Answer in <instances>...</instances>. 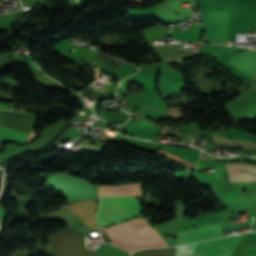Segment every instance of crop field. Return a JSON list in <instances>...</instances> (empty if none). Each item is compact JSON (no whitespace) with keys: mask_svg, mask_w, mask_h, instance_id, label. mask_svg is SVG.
Here are the masks:
<instances>
[{"mask_svg":"<svg viewBox=\"0 0 256 256\" xmlns=\"http://www.w3.org/2000/svg\"><path fill=\"white\" fill-rule=\"evenodd\" d=\"M131 221L142 233V235L146 238V240L151 244L152 247L167 246V244L164 242V240L161 238L158 232L151 229L144 219H135ZM131 221H127L112 226L108 229H105V232L111 239L112 243L143 248L151 247L150 244L145 240V238L141 235V233L137 230V228L132 224ZM122 245L116 246L129 252H134L138 249H143Z\"/></svg>","mask_w":256,"mask_h":256,"instance_id":"crop-field-2","label":"crop field"},{"mask_svg":"<svg viewBox=\"0 0 256 256\" xmlns=\"http://www.w3.org/2000/svg\"><path fill=\"white\" fill-rule=\"evenodd\" d=\"M142 194L140 183L120 186H100L99 196H136ZM141 209L134 197H100L97 222L99 226L123 221Z\"/></svg>","mask_w":256,"mask_h":256,"instance_id":"crop-field-1","label":"crop field"},{"mask_svg":"<svg viewBox=\"0 0 256 256\" xmlns=\"http://www.w3.org/2000/svg\"><path fill=\"white\" fill-rule=\"evenodd\" d=\"M176 234L178 238V245L224 236L219 223L178 232Z\"/></svg>","mask_w":256,"mask_h":256,"instance_id":"crop-field-6","label":"crop field"},{"mask_svg":"<svg viewBox=\"0 0 256 256\" xmlns=\"http://www.w3.org/2000/svg\"><path fill=\"white\" fill-rule=\"evenodd\" d=\"M246 234L180 246L176 256H230L232 249Z\"/></svg>","mask_w":256,"mask_h":256,"instance_id":"crop-field-3","label":"crop field"},{"mask_svg":"<svg viewBox=\"0 0 256 256\" xmlns=\"http://www.w3.org/2000/svg\"><path fill=\"white\" fill-rule=\"evenodd\" d=\"M54 256H97L84 246V234L63 230L49 235Z\"/></svg>","mask_w":256,"mask_h":256,"instance_id":"crop-field-4","label":"crop field"},{"mask_svg":"<svg viewBox=\"0 0 256 256\" xmlns=\"http://www.w3.org/2000/svg\"><path fill=\"white\" fill-rule=\"evenodd\" d=\"M61 207L74 213L86 226L99 230L95 222L96 199L71 202Z\"/></svg>","mask_w":256,"mask_h":256,"instance_id":"crop-field-7","label":"crop field"},{"mask_svg":"<svg viewBox=\"0 0 256 256\" xmlns=\"http://www.w3.org/2000/svg\"><path fill=\"white\" fill-rule=\"evenodd\" d=\"M0 109H10V108H8L5 105H3L2 103H0Z\"/></svg>","mask_w":256,"mask_h":256,"instance_id":"crop-field-12","label":"crop field"},{"mask_svg":"<svg viewBox=\"0 0 256 256\" xmlns=\"http://www.w3.org/2000/svg\"><path fill=\"white\" fill-rule=\"evenodd\" d=\"M208 31L204 41L225 44L228 36V10L206 11Z\"/></svg>","mask_w":256,"mask_h":256,"instance_id":"crop-field-5","label":"crop field"},{"mask_svg":"<svg viewBox=\"0 0 256 256\" xmlns=\"http://www.w3.org/2000/svg\"><path fill=\"white\" fill-rule=\"evenodd\" d=\"M227 61L248 76L256 79V51L246 50Z\"/></svg>","mask_w":256,"mask_h":256,"instance_id":"crop-field-8","label":"crop field"},{"mask_svg":"<svg viewBox=\"0 0 256 256\" xmlns=\"http://www.w3.org/2000/svg\"><path fill=\"white\" fill-rule=\"evenodd\" d=\"M29 133L30 132H28V131H23V130L0 126V136L8 139L9 141H13V142L25 143ZM35 135L36 134L31 131V134H30L27 142L30 141L31 139H33L35 137Z\"/></svg>","mask_w":256,"mask_h":256,"instance_id":"crop-field-10","label":"crop field"},{"mask_svg":"<svg viewBox=\"0 0 256 256\" xmlns=\"http://www.w3.org/2000/svg\"><path fill=\"white\" fill-rule=\"evenodd\" d=\"M175 247L161 248V249H150V250H139L132 256H174Z\"/></svg>","mask_w":256,"mask_h":256,"instance_id":"crop-field-11","label":"crop field"},{"mask_svg":"<svg viewBox=\"0 0 256 256\" xmlns=\"http://www.w3.org/2000/svg\"><path fill=\"white\" fill-rule=\"evenodd\" d=\"M231 182H256V167L245 164H225Z\"/></svg>","mask_w":256,"mask_h":256,"instance_id":"crop-field-9","label":"crop field"}]
</instances>
